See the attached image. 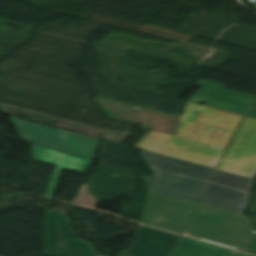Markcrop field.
I'll list each match as a JSON object with an SVG mask.
<instances>
[{"instance_id":"crop-field-1","label":"crop field","mask_w":256,"mask_h":256,"mask_svg":"<svg viewBox=\"0 0 256 256\" xmlns=\"http://www.w3.org/2000/svg\"><path fill=\"white\" fill-rule=\"evenodd\" d=\"M135 147L215 169L226 150L154 131L149 132ZM218 169L251 178L256 176V119L245 117Z\"/></svg>"},{"instance_id":"crop-field-2","label":"crop field","mask_w":256,"mask_h":256,"mask_svg":"<svg viewBox=\"0 0 256 256\" xmlns=\"http://www.w3.org/2000/svg\"><path fill=\"white\" fill-rule=\"evenodd\" d=\"M178 235L140 225L130 249L122 256H168ZM48 256H97L90 243L73 238L66 212L48 210Z\"/></svg>"},{"instance_id":"crop-field-3","label":"crop field","mask_w":256,"mask_h":256,"mask_svg":"<svg viewBox=\"0 0 256 256\" xmlns=\"http://www.w3.org/2000/svg\"><path fill=\"white\" fill-rule=\"evenodd\" d=\"M249 217L198 204L183 235L256 254V233Z\"/></svg>"},{"instance_id":"crop-field-4","label":"crop field","mask_w":256,"mask_h":256,"mask_svg":"<svg viewBox=\"0 0 256 256\" xmlns=\"http://www.w3.org/2000/svg\"><path fill=\"white\" fill-rule=\"evenodd\" d=\"M153 174L150 190L198 202L215 169L160 154L140 151Z\"/></svg>"},{"instance_id":"crop-field-5","label":"crop field","mask_w":256,"mask_h":256,"mask_svg":"<svg viewBox=\"0 0 256 256\" xmlns=\"http://www.w3.org/2000/svg\"><path fill=\"white\" fill-rule=\"evenodd\" d=\"M242 118L188 102L176 135L227 148Z\"/></svg>"},{"instance_id":"crop-field-6","label":"crop field","mask_w":256,"mask_h":256,"mask_svg":"<svg viewBox=\"0 0 256 256\" xmlns=\"http://www.w3.org/2000/svg\"><path fill=\"white\" fill-rule=\"evenodd\" d=\"M23 141L93 160L101 140L10 117Z\"/></svg>"},{"instance_id":"crop-field-7","label":"crop field","mask_w":256,"mask_h":256,"mask_svg":"<svg viewBox=\"0 0 256 256\" xmlns=\"http://www.w3.org/2000/svg\"><path fill=\"white\" fill-rule=\"evenodd\" d=\"M196 204L148 191L144 215L139 222L180 234Z\"/></svg>"},{"instance_id":"crop-field-8","label":"crop field","mask_w":256,"mask_h":256,"mask_svg":"<svg viewBox=\"0 0 256 256\" xmlns=\"http://www.w3.org/2000/svg\"><path fill=\"white\" fill-rule=\"evenodd\" d=\"M201 88L188 100L245 115L255 96L225 89L223 84L201 79Z\"/></svg>"},{"instance_id":"crop-field-9","label":"crop field","mask_w":256,"mask_h":256,"mask_svg":"<svg viewBox=\"0 0 256 256\" xmlns=\"http://www.w3.org/2000/svg\"><path fill=\"white\" fill-rule=\"evenodd\" d=\"M32 147L36 161L56 165L46 194L50 198H52L55 192L62 168L85 173L92 163L91 160L56 152L40 146L32 145Z\"/></svg>"},{"instance_id":"crop-field-10","label":"crop field","mask_w":256,"mask_h":256,"mask_svg":"<svg viewBox=\"0 0 256 256\" xmlns=\"http://www.w3.org/2000/svg\"><path fill=\"white\" fill-rule=\"evenodd\" d=\"M249 199L248 193L209 183L199 203L243 215Z\"/></svg>"},{"instance_id":"crop-field-11","label":"crop field","mask_w":256,"mask_h":256,"mask_svg":"<svg viewBox=\"0 0 256 256\" xmlns=\"http://www.w3.org/2000/svg\"><path fill=\"white\" fill-rule=\"evenodd\" d=\"M171 256H249L181 236Z\"/></svg>"},{"instance_id":"crop-field-12","label":"crop field","mask_w":256,"mask_h":256,"mask_svg":"<svg viewBox=\"0 0 256 256\" xmlns=\"http://www.w3.org/2000/svg\"><path fill=\"white\" fill-rule=\"evenodd\" d=\"M211 182L238 188L249 192H252L254 188L253 179L219 170H216L215 174L211 179Z\"/></svg>"},{"instance_id":"crop-field-13","label":"crop field","mask_w":256,"mask_h":256,"mask_svg":"<svg viewBox=\"0 0 256 256\" xmlns=\"http://www.w3.org/2000/svg\"><path fill=\"white\" fill-rule=\"evenodd\" d=\"M246 116L256 118V98Z\"/></svg>"}]
</instances>
